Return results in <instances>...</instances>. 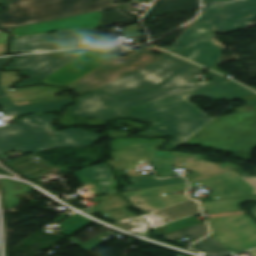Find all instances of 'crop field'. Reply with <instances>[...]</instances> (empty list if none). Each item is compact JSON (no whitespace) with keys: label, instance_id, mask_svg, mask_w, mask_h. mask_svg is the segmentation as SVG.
Returning <instances> with one entry per match:
<instances>
[{"label":"crop field","instance_id":"crop-field-15","mask_svg":"<svg viewBox=\"0 0 256 256\" xmlns=\"http://www.w3.org/2000/svg\"><path fill=\"white\" fill-rule=\"evenodd\" d=\"M173 155L175 166L185 167L189 171L195 173L187 177L189 182L239 168L236 165L228 163L216 166L214 164L203 161L202 157L199 155H190L180 152H173ZM183 162H187V165H183Z\"/></svg>","mask_w":256,"mask_h":256},{"label":"crop field","instance_id":"crop-field-16","mask_svg":"<svg viewBox=\"0 0 256 256\" xmlns=\"http://www.w3.org/2000/svg\"><path fill=\"white\" fill-rule=\"evenodd\" d=\"M21 77L16 75V72H1V88L5 90L12 101L37 99L45 97H53L56 92L68 90L62 88H52L45 86H35L28 89H10L8 86Z\"/></svg>","mask_w":256,"mask_h":256},{"label":"crop field","instance_id":"crop-field-5","mask_svg":"<svg viewBox=\"0 0 256 256\" xmlns=\"http://www.w3.org/2000/svg\"><path fill=\"white\" fill-rule=\"evenodd\" d=\"M256 18V0H238L232 3L212 4L176 43L163 49L174 52L197 40H213L215 33H229L247 26Z\"/></svg>","mask_w":256,"mask_h":256},{"label":"crop field","instance_id":"crop-field-9","mask_svg":"<svg viewBox=\"0 0 256 256\" xmlns=\"http://www.w3.org/2000/svg\"><path fill=\"white\" fill-rule=\"evenodd\" d=\"M96 29L57 32L11 41V52L48 51L66 48L101 46V40L96 38Z\"/></svg>","mask_w":256,"mask_h":256},{"label":"crop field","instance_id":"crop-field-14","mask_svg":"<svg viewBox=\"0 0 256 256\" xmlns=\"http://www.w3.org/2000/svg\"><path fill=\"white\" fill-rule=\"evenodd\" d=\"M101 16L102 11L76 15L52 21L18 26L15 27L14 32L17 36H27L64 29L91 28L101 23Z\"/></svg>","mask_w":256,"mask_h":256},{"label":"crop field","instance_id":"crop-field-7","mask_svg":"<svg viewBox=\"0 0 256 256\" xmlns=\"http://www.w3.org/2000/svg\"><path fill=\"white\" fill-rule=\"evenodd\" d=\"M151 52H157L159 55ZM168 55L170 54L155 47H142L122 58L115 57L116 59L92 71L70 87L83 96L106 83L148 66Z\"/></svg>","mask_w":256,"mask_h":256},{"label":"crop field","instance_id":"crop-field-27","mask_svg":"<svg viewBox=\"0 0 256 256\" xmlns=\"http://www.w3.org/2000/svg\"><path fill=\"white\" fill-rule=\"evenodd\" d=\"M141 29L139 28V23L133 25V26H129L127 28H125L124 30L120 31L119 33L125 35V36H142L139 34V31Z\"/></svg>","mask_w":256,"mask_h":256},{"label":"crop field","instance_id":"crop-field-44","mask_svg":"<svg viewBox=\"0 0 256 256\" xmlns=\"http://www.w3.org/2000/svg\"><path fill=\"white\" fill-rule=\"evenodd\" d=\"M1 32V31H0Z\"/></svg>","mask_w":256,"mask_h":256},{"label":"crop field","instance_id":"crop-field-4","mask_svg":"<svg viewBox=\"0 0 256 256\" xmlns=\"http://www.w3.org/2000/svg\"><path fill=\"white\" fill-rule=\"evenodd\" d=\"M182 144L228 150L249 160L256 147V109L218 117Z\"/></svg>","mask_w":256,"mask_h":256},{"label":"crop field","instance_id":"crop-field-38","mask_svg":"<svg viewBox=\"0 0 256 256\" xmlns=\"http://www.w3.org/2000/svg\"><path fill=\"white\" fill-rule=\"evenodd\" d=\"M66 215H68L67 213L62 214L60 217H58L54 222L58 223L61 219H63ZM67 217V216H66Z\"/></svg>","mask_w":256,"mask_h":256},{"label":"crop field","instance_id":"crop-field-32","mask_svg":"<svg viewBox=\"0 0 256 256\" xmlns=\"http://www.w3.org/2000/svg\"><path fill=\"white\" fill-rule=\"evenodd\" d=\"M67 98H72V97H55V98H46V99H39V100H33V101L17 102V103H15V105L43 102V101H51V100H59V99H67Z\"/></svg>","mask_w":256,"mask_h":256},{"label":"crop field","instance_id":"crop-field-1","mask_svg":"<svg viewBox=\"0 0 256 256\" xmlns=\"http://www.w3.org/2000/svg\"><path fill=\"white\" fill-rule=\"evenodd\" d=\"M201 67L171 55L78 98L68 115L108 121L126 117L132 106L156 101L226 78L209 71L212 81L191 79Z\"/></svg>","mask_w":256,"mask_h":256},{"label":"crop field","instance_id":"crop-field-43","mask_svg":"<svg viewBox=\"0 0 256 256\" xmlns=\"http://www.w3.org/2000/svg\"><path fill=\"white\" fill-rule=\"evenodd\" d=\"M2 8L0 7V10H1Z\"/></svg>","mask_w":256,"mask_h":256},{"label":"crop field","instance_id":"crop-field-23","mask_svg":"<svg viewBox=\"0 0 256 256\" xmlns=\"http://www.w3.org/2000/svg\"><path fill=\"white\" fill-rule=\"evenodd\" d=\"M244 201H256V196L221 201H210L201 204L204 211H207L208 214H212L239 210L241 203Z\"/></svg>","mask_w":256,"mask_h":256},{"label":"crop field","instance_id":"crop-field-40","mask_svg":"<svg viewBox=\"0 0 256 256\" xmlns=\"http://www.w3.org/2000/svg\"><path fill=\"white\" fill-rule=\"evenodd\" d=\"M250 254H252L253 256H256V250H250L248 251Z\"/></svg>","mask_w":256,"mask_h":256},{"label":"crop field","instance_id":"crop-field-35","mask_svg":"<svg viewBox=\"0 0 256 256\" xmlns=\"http://www.w3.org/2000/svg\"><path fill=\"white\" fill-rule=\"evenodd\" d=\"M9 59H0V66L2 65V64H4L5 62H7ZM7 93L6 92H4L1 88H0V96H2V95H6Z\"/></svg>","mask_w":256,"mask_h":256},{"label":"crop field","instance_id":"crop-field-20","mask_svg":"<svg viewBox=\"0 0 256 256\" xmlns=\"http://www.w3.org/2000/svg\"><path fill=\"white\" fill-rule=\"evenodd\" d=\"M82 185L96 183L93 180L101 182L106 193L111 194L117 192L114 188L117 186L112 173L105 164L92 166L72 173Z\"/></svg>","mask_w":256,"mask_h":256},{"label":"crop field","instance_id":"crop-field-3","mask_svg":"<svg viewBox=\"0 0 256 256\" xmlns=\"http://www.w3.org/2000/svg\"><path fill=\"white\" fill-rule=\"evenodd\" d=\"M54 115H31L17 124L0 127V159L3 153L20 150L24 153L46 148L93 145L100 137L93 132L65 130L55 132L50 124Z\"/></svg>","mask_w":256,"mask_h":256},{"label":"crop field","instance_id":"crop-field-10","mask_svg":"<svg viewBox=\"0 0 256 256\" xmlns=\"http://www.w3.org/2000/svg\"><path fill=\"white\" fill-rule=\"evenodd\" d=\"M89 49H80L47 54H35L16 58L4 69H21L20 74H26L30 78L19 82L16 86H27L38 83L39 80L61 68L80 54Z\"/></svg>","mask_w":256,"mask_h":256},{"label":"crop field","instance_id":"crop-field-18","mask_svg":"<svg viewBox=\"0 0 256 256\" xmlns=\"http://www.w3.org/2000/svg\"><path fill=\"white\" fill-rule=\"evenodd\" d=\"M114 160L107 161L111 167L126 169L128 176L140 175L133 169L142 163L149 162L142 147L111 151Z\"/></svg>","mask_w":256,"mask_h":256},{"label":"crop field","instance_id":"crop-field-11","mask_svg":"<svg viewBox=\"0 0 256 256\" xmlns=\"http://www.w3.org/2000/svg\"><path fill=\"white\" fill-rule=\"evenodd\" d=\"M189 184L191 188H210L214 192L209 193L213 200L256 195V177L248 175L241 168Z\"/></svg>","mask_w":256,"mask_h":256},{"label":"crop field","instance_id":"crop-field-42","mask_svg":"<svg viewBox=\"0 0 256 256\" xmlns=\"http://www.w3.org/2000/svg\"><path fill=\"white\" fill-rule=\"evenodd\" d=\"M176 256H187V255L177 253Z\"/></svg>","mask_w":256,"mask_h":256},{"label":"crop field","instance_id":"crop-field-34","mask_svg":"<svg viewBox=\"0 0 256 256\" xmlns=\"http://www.w3.org/2000/svg\"><path fill=\"white\" fill-rule=\"evenodd\" d=\"M10 102H12V101H11V99L9 98V96L0 98V104L10 103Z\"/></svg>","mask_w":256,"mask_h":256},{"label":"crop field","instance_id":"crop-field-41","mask_svg":"<svg viewBox=\"0 0 256 256\" xmlns=\"http://www.w3.org/2000/svg\"><path fill=\"white\" fill-rule=\"evenodd\" d=\"M9 0H0V4L1 3H8Z\"/></svg>","mask_w":256,"mask_h":256},{"label":"crop field","instance_id":"crop-field-37","mask_svg":"<svg viewBox=\"0 0 256 256\" xmlns=\"http://www.w3.org/2000/svg\"><path fill=\"white\" fill-rule=\"evenodd\" d=\"M219 1H231V0H203L204 4L211 3V2H219Z\"/></svg>","mask_w":256,"mask_h":256},{"label":"crop field","instance_id":"crop-field-29","mask_svg":"<svg viewBox=\"0 0 256 256\" xmlns=\"http://www.w3.org/2000/svg\"><path fill=\"white\" fill-rule=\"evenodd\" d=\"M153 216L154 218H152ZM144 217L151 222V225L154 228L167 224V222L163 221L162 219H160L159 217L155 216L152 213L144 215Z\"/></svg>","mask_w":256,"mask_h":256},{"label":"crop field","instance_id":"crop-field-12","mask_svg":"<svg viewBox=\"0 0 256 256\" xmlns=\"http://www.w3.org/2000/svg\"><path fill=\"white\" fill-rule=\"evenodd\" d=\"M113 57L115 56L104 50L91 49L41 80L40 83L67 87Z\"/></svg>","mask_w":256,"mask_h":256},{"label":"crop field","instance_id":"crop-field-30","mask_svg":"<svg viewBox=\"0 0 256 256\" xmlns=\"http://www.w3.org/2000/svg\"><path fill=\"white\" fill-rule=\"evenodd\" d=\"M133 184L158 180L154 175L129 177Z\"/></svg>","mask_w":256,"mask_h":256},{"label":"crop field","instance_id":"crop-field-36","mask_svg":"<svg viewBox=\"0 0 256 256\" xmlns=\"http://www.w3.org/2000/svg\"><path fill=\"white\" fill-rule=\"evenodd\" d=\"M6 53V44H0V55Z\"/></svg>","mask_w":256,"mask_h":256},{"label":"crop field","instance_id":"crop-field-8","mask_svg":"<svg viewBox=\"0 0 256 256\" xmlns=\"http://www.w3.org/2000/svg\"><path fill=\"white\" fill-rule=\"evenodd\" d=\"M207 220L211 236L233 255L256 247V224L247 214Z\"/></svg>","mask_w":256,"mask_h":256},{"label":"crop field","instance_id":"crop-field-22","mask_svg":"<svg viewBox=\"0 0 256 256\" xmlns=\"http://www.w3.org/2000/svg\"><path fill=\"white\" fill-rule=\"evenodd\" d=\"M199 207L196 201L190 200L157 212H154L157 216L164 219L168 223L199 213Z\"/></svg>","mask_w":256,"mask_h":256},{"label":"crop field","instance_id":"crop-field-2","mask_svg":"<svg viewBox=\"0 0 256 256\" xmlns=\"http://www.w3.org/2000/svg\"><path fill=\"white\" fill-rule=\"evenodd\" d=\"M254 93L252 90L231 80H225L186 93L172 96L149 104L133 107L128 117L154 123L140 134H168L175 136L163 148H176L191 135L212 121L187 97L207 96L213 99H234Z\"/></svg>","mask_w":256,"mask_h":256},{"label":"crop field","instance_id":"crop-field-28","mask_svg":"<svg viewBox=\"0 0 256 256\" xmlns=\"http://www.w3.org/2000/svg\"><path fill=\"white\" fill-rule=\"evenodd\" d=\"M130 221L134 222L137 226V229L134 232L146 236L147 223L143 222L139 217L131 219Z\"/></svg>","mask_w":256,"mask_h":256},{"label":"crop field","instance_id":"crop-field-26","mask_svg":"<svg viewBox=\"0 0 256 256\" xmlns=\"http://www.w3.org/2000/svg\"><path fill=\"white\" fill-rule=\"evenodd\" d=\"M107 235H110V234L108 232H106V233H104V234H102V235H100V236H98V237H96V238H94V239L84 243V244L80 243L79 241L75 240L72 237L67 239V240L75 243L74 244L75 246H77V247H79V248L89 252V251L95 249L96 247L100 246L102 244V242H103V240H101L100 238H102L104 236H107Z\"/></svg>","mask_w":256,"mask_h":256},{"label":"crop field","instance_id":"crop-field-21","mask_svg":"<svg viewBox=\"0 0 256 256\" xmlns=\"http://www.w3.org/2000/svg\"><path fill=\"white\" fill-rule=\"evenodd\" d=\"M72 102V99L27 104L15 106L14 103L2 105L7 115H19L27 113L59 112L63 106Z\"/></svg>","mask_w":256,"mask_h":256},{"label":"crop field","instance_id":"crop-field-17","mask_svg":"<svg viewBox=\"0 0 256 256\" xmlns=\"http://www.w3.org/2000/svg\"><path fill=\"white\" fill-rule=\"evenodd\" d=\"M175 54L209 67L219 63L222 49L220 46L213 45L210 42H200Z\"/></svg>","mask_w":256,"mask_h":256},{"label":"crop field","instance_id":"crop-field-31","mask_svg":"<svg viewBox=\"0 0 256 256\" xmlns=\"http://www.w3.org/2000/svg\"><path fill=\"white\" fill-rule=\"evenodd\" d=\"M115 225L130 231H133L136 228L135 225L128 220L119 222Z\"/></svg>","mask_w":256,"mask_h":256},{"label":"crop field","instance_id":"crop-field-13","mask_svg":"<svg viewBox=\"0 0 256 256\" xmlns=\"http://www.w3.org/2000/svg\"><path fill=\"white\" fill-rule=\"evenodd\" d=\"M186 189V183H182L134 192H124L123 194L133 206L143 210V213H146L190 200L185 194L171 196L164 195V193L183 191Z\"/></svg>","mask_w":256,"mask_h":256},{"label":"crop field","instance_id":"crop-field-24","mask_svg":"<svg viewBox=\"0 0 256 256\" xmlns=\"http://www.w3.org/2000/svg\"><path fill=\"white\" fill-rule=\"evenodd\" d=\"M90 221L86 220L85 218L81 217L78 214L71 216L70 218L66 219L65 221L59 223L60 226L65 227L61 233L65 235H71L78 231L80 228L88 224Z\"/></svg>","mask_w":256,"mask_h":256},{"label":"crop field","instance_id":"crop-field-19","mask_svg":"<svg viewBox=\"0 0 256 256\" xmlns=\"http://www.w3.org/2000/svg\"><path fill=\"white\" fill-rule=\"evenodd\" d=\"M112 196H115L109 200H106L102 203L98 202L101 200H105L107 198H110ZM93 201L97 202L98 204L92 207L89 210H86L89 213L98 212L115 222L124 220L127 218L135 217L136 215L128 212L123 206H126V202L120 197L118 193L111 194V195H105L102 197L94 198Z\"/></svg>","mask_w":256,"mask_h":256},{"label":"crop field","instance_id":"crop-field-39","mask_svg":"<svg viewBox=\"0 0 256 256\" xmlns=\"http://www.w3.org/2000/svg\"><path fill=\"white\" fill-rule=\"evenodd\" d=\"M251 213L256 218V206L252 207Z\"/></svg>","mask_w":256,"mask_h":256},{"label":"crop field","instance_id":"crop-field-33","mask_svg":"<svg viewBox=\"0 0 256 256\" xmlns=\"http://www.w3.org/2000/svg\"><path fill=\"white\" fill-rule=\"evenodd\" d=\"M8 35L9 34H7V33H0V43H7Z\"/></svg>","mask_w":256,"mask_h":256},{"label":"crop field","instance_id":"crop-field-6","mask_svg":"<svg viewBox=\"0 0 256 256\" xmlns=\"http://www.w3.org/2000/svg\"><path fill=\"white\" fill-rule=\"evenodd\" d=\"M123 0H10L8 10L0 14V27L41 22L66 16L105 10Z\"/></svg>","mask_w":256,"mask_h":256},{"label":"crop field","instance_id":"crop-field-25","mask_svg":"<svg viewBox=\"0 0 256 256\" xmlns=\"http://www.w3.org/2000/svg\"><path fill=\"white\" fill-rule=\"evenodd\" d=\"M182 182H185L184 178L177 177V178L163 179V180L142 183L137 185L125 186L124 189L125 191H134V190H140V189H146V188H152V187H158V186H164V185H170V184H176V183H182Z\"/></svg>","mask_w":256,"mask_h":256}]
</instances>
